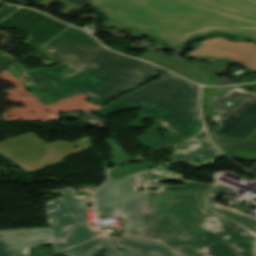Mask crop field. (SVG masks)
I'll use <instances>...</instances> for the list:
<instances>
[{
	"label": "crop field",
	"mask_w": 256,
	"mask_h": 256,
	"mask_svg": "<svg viewBox=\"0 0 256 256\" xmlns=\"http://www.w3.org/2000/svg\"><path fill=\"white\" fill-rule=\"evenodd\" d=\"M184 177L170 170L145 171L140 238L159 241L176 256H253L256 232L211 210L210 185ZM161 180L185 184L169 186Z\"/></svg>",
	"instance_id": "8a807250"
},
{
	"label": "crop field",
	"mask_w": 256,
	"mask_h": 256,
	"mask_svg": "<svg viewBox=\"0 0 256 256\" xmlns=\"http://www.w3.org/2000/svg\"><path fill=\"white\" fill-rule=\"evenodd\" d=\"M42 49L50 51L62 64L28 72L16 63L7 70L15 78L23 73L29 81L22 85L44 105L84 92L90 96L85 100L100 105L148 81L158 72V68L145 62L104 49L90 35L73 27ZM68 68L80 73L62 79Z\"/></svg>",
	"instance_id": "ac0d7876"
},
{
	"label": "crop field",
	"mask_w": 256,
	"mask_h": 256,
	"mask_svg": "<svg viewBox=\"0 0 256 256\" xmlns=\"http://www.w3.org/2000/svg\"><path fill=\"white\" fill-rule=\"evenodd\" d=\"M109 18L170 46L211 29L256 40V0H90Z\"/></svg>",
	"instance_id": "34b2d1b8"
},
{
	"label": "crop field",
	"mask_w": 256,
	"mask_h": 256,
	"mask_svg": "<svg viewBox=\"0 0 256 256\" xmlns=\"http://www.w3.org/2000/svg\"><path fill=\"white\" fill-rule=\"evenodd\" d=\"M198 94L197 85L167 72L159 80L129 95L126 94L127 96L124 95L120 101L97 113L105 117L118 110L141 108L142 110L138 111L139 116L128 126L141 127L144 126L140 124L141 119H154V125L139 136L138 141L144 147L155 151L178 144L200 132L202 124L197 106ZM150 105L154 107L150 108ZM160 122L162 126L157 125ZM162 127L169 131V135H157V130ZM162 137L166 139L163 140Z\"/></svg>",
	"instance_id": "412701ff"
},
{
	"label": "crop field",
	"mask_w": 256,
	"mask_h": 256,
	"mask_svg": "<svg viewBox=\"0 0 256 256\" xmlns=\"http://www.w3.org/2000/svg\"><path fill=\"white\" fill-rule=\"evenodd\" d=\"M46 203L51 229L1 231L0 256H28L29 248L45 243H52L53 250L59 252L94 239L71 213L62 197Z\"/></svg>",
	"instance_id": "f4fd0767"
},
{
	"label": "crop field",
	"mask_w": 256,
	"mask_h": 256,
	"mask_svg": "<svg viewBox=\"0 0 256 256\" xmlns=\"http://www.w3.org/2000/svg\"><path fill=\"white\" fill-rule=\"evenodd\" d=\"M7 141L0 143V155L28 173L57 164L63 161L65 156L93 147L87 138H81L75 143L56 141L47 144L34 133H27ZM76 146L79 148L74 149L73 147Z\"/></svg>",
	"instance_id": "dd49c442"
},
{
	"label": "crop field",
	"mask_w": 256,
	"mask_h": 256,
	"mask_svg": "<svg viewBox=\"0 0 256 256\" xmlns=\"http://www.w3.org/2000/svg\"><path fill=\"white\" fill-rule=\"evenodd\" d=\"M144 171L109 181L97 191L98 216L119 214L126 222L123 224L125 236L139 238L143 192Z\"/></svg>",
	"instance_id": "e52e79f7"
},
{
	"label": "crop field",
	"mask_w": 256,
	"mask_h": 256,
	"mask_svg": "<svg viewBox=\"0 0 256 256\" xmlns=\"http://www.w3.org/2000/svg\"><path fill=\"white\" fill-rule=\"evenodd\" d=\"M209 103L215 113L212 119L218 124L210 134L245 139L256 129V93L230 89L222 96L211 97Z\"/></svg>",
	"instance_id": "d8731c3e"
},
{
	"label": "crop field",
	"mask_w": 256,
	"mask_h": 256,
	"mask_svg": "<svg viewBox=\"0 0 256 256\" xmlns=\"http://www.w3.org/2000/svg\"><path fill=\"white\" fill-rule=\"evenodd\" d=\"M0 27L23 30L30 36L25 43L37 48L68 26L39 12L20 8L1 22Z\"/></svg>",
	"instance_id": "5a996713"
},
{
	"label": "crop field",
	"mask_w": 256,
	"mask_h": 256,
	"mask_svg": "<svg viewBox=\"0 0 256 256\" xmlns=\"http://www.w3.org/2000/svg\"><path fill=\"white\" fill-rule=\"evenodd\" d=\"M190 52L191 55L228 58L231 61L256 71V44L231 42L221 37L204 40Z\"/></svg>",
	"instance_id": "3316defc"
},
{
	"label": "crop field",
	"mask_w": 256,
	"mask_h": 256,
	"mask_svg": "<svg viewBox=\"0 0 256 256\" xmlns=\"http://www.w3.org/2000/svg\"><path fill=\"white\" fill-rule=\"evenodd\" d=\"M141 59L150 61L194 82L210 86H216L213 81L217 78L212 75L225 66L224 63H217L211 67L208 64L200 62H181L174 60L163 53L154 52L143 56Z\"/></svg>",
	"instance_id": "28ad6ade"
},
{
	"label": "crop field",
	"mask_w": 256,
	"mask_h": 256,
	"mask_svg": "<svg viewBox=\"0 0 256 256\" xmlns=\"http://www.w3.org/2000/svg\"><path fill=\"white\" fill-rule=\"evenodd\" d=\"M210 137L229 158L256 160V130L245 140L214 135H210Z\"/></svg>",
	"instance_id": "d1516ede"
},
{
	"label": "crop field",
	"mask_w": 256,
	"mask_h": 256,
	"mask_svg": "<svg viewBox=\"0 0 256 256\" xmlns=\"http://www.w3.org/2000/svg\"><path fill=\"white\" fill-rule=\"evenodd\" d=\"M110 237L115 244L127 249L126 251H120L121 256H175L159 242L125 236L121 238Z\"/></svg>",
	"instance_id": "22f410ed"
},
{
	"label": "crop field",
	"mask_w": 256,
	"mask_h": 256,
	"mask_svg": "<svg viewBox=\"0 0 256 256\" xmlns=\"http://www.w3.org/2000/svg\"><path fill=\"white\" fill-rule=\"evenodd\" d=\"M239 188L240 187H233L228 183L214 181L213 185L208 190V194H209V198H210L212 207H213V209L234 218L235 220L239 221L240 223H242L256 231V218L255 217L248 215V214H244L234 208L223 206V205L217 204L212 201L213 197L218 192H224V193L230 194Z\"/></svg>",
	"instance_id": "cbeb9de0"
},
{
	"label": "crop field",
	"mask_w": 256,
	"mask_h": 256,
	"mask_svg": "<svg viewBox=\"0 0 256 256\" xmlns=\"http://www.w3.org/2000/svg\"><path fill=\"white\" fill-rule=\"evenodd\" d=\"M101 248L107 249V255L110 256V253L113 256H118L115 250L110 245L108 237H102L100 239H96L89 243L83 244L81 246L72 248L70 250L65 251L66 254L72 256H92L93 254H98ZM103 255V254H101Z\"/></svg>",
	"instance_id": "5142ce71"
},
{
	"label": "crop field",
	"mask_w": 256,
	"mask_h": 256,
	"mask_svg": "<svg viewBox=\"0 0 256 256\" xmlns=\"http://www.w3.org/2000/svg\"><path fill=\"white\" fill-rule=\"evenodd\" d=\"M192 141H197L199 144L193 145ZM189 143L191 145L184 149H178L176 147L172 157V164L185 161L191 166V168H201L202 165L195 161V155L202 153L200 139L195 137L194 139L189 141Z\"/></svg>",
	"instance_id": "d9b57169"
},
{
	"label": "crop field",
	"mask_w": 256,
	"mask_h": 256,
	"mask_svg": "<svg viewBox=\"0 0 256 256\" xmlns=\"http://www.w3.org/2000/svg\"><path fill=\"white\" fill-rule=\"evenodd\" d=\"M61 191L63 196L65 197L66 201L70 205L71 209L74 211V213L78 216V218L87 226V211L84 203V199L82 196H77L75 192L72 190V188L68 189H61V190H54L52 192ZM89 227V226H88ZM90 229V228H89ZM92 229V228H91ZM90 229V230H91ZM92 233L99 237L100 235L91 230Z\"/></svg>",
	"instance_id": "733c2abd"
},
{
	"label": "crop field",
	"mask_w": 256,
	"mask_h": 256,
	"mask_svg": "<svg viewBox=\"0 0 256 256\" xmlns=\"http://www.w3.org/2000/svg\"><path fill=\"white\" fill-rule=\"evenodd\" d=\"M161 164H163V163H161ZM157 165H160V164H157ZM157 165L147 161V162H144L141 164H131V165H127V166H119L117 168L110 170L108 173L110 176V180L120 179L124 176H128L133 173L141 172L143 170L149 169V168L157 166Z\"/></svg>",
	"instance_id": "4a817a6b"
},
{
	"label": "crop field",
	"mask_w": 256,
	"mask_h": 256,
	"mask_svg": "<svg viewBox=\"0 0 256 256\" xmlns=\"http://www.w3.org/2000/svg\"><path fill=\"white\" fill-rule=\"evenodd\" d=\"M204 153L197 156L202 165H211L219 158L223 157L209 142L207 137H201Z\"/></svg>",
	"instance_id": "bc2a9ffb"
},
{
	"label": "crop field",
	"mask_w": 256,
	"mask_h": 256,
	"mask_svg": "<svg viewBox=\"0 0 256 256\" xmlns=\"http://www.w3.org/2000/svg\"><path fill=\"white\" fill-rule=\"evenodd\" d=\"M16 7L7 6L0 10V20L11 14L13 11H15ZM17 61L13 59L8 54L1 52L0 53V73L7 69L12 64L16 63Z\"/></svg>",
	"instance_id": "214f88e0"
},
{
	"label": "crop field",
	"mask_w": 256,
	"mask_h": 256,
	"mask_svg": "<svg viewBox=\"0 0 256 256\" xmlns=\"http://www.w3.org/2000/svg\"><path fill=\"white\" fill-rule=\"evenodd\" d=\"M106 141L113 150L110 153L112 154V156L114 158L109 159V161L112 162L114 165L122 163V162L130 160V159H133L132 157H130L124 153V151L121 149V147L115 141V139L110 138V139H107Z\"/></svg>",
	"instance_id": "92a150f3"
},
{
	"label": "crop field",
	"mask_w": 256,
	"mask_h": 256,
	"mask_svg": "<svg viewBox=\"0 0 256 256\" xmlns=\"http://www.w3.org/2000/svg\"><path fill=\"white\" fill-rule=\"evenodd\" d=\"M70 1H72V2H74L76 4H79V5L83 6V7H85L88 4V2H89V0H70Z\"/></svg>",
	"instance_id": "dafd665d"
},
{
	"label": "crop field",
	"mask_w": 256,
	"mask_h": 256,
	"mask_svg": "<svg viewBox=\"0 0 256 256\" xmlns=\"http://www.w3.org/2000/svg\"><path fill=\"white\" fill-rule=\"evenodd\" d=\"M218 88H210V87H204L203 88V91H202V95H205V94H207V93H209V92H212V91H214V90H217Z\"/></svg>",
	"instance_id": "00972430"
},
{
	"label": "crop field",
	"mask_w": 256,
	"mask_h": 256,
	"mask_svg": "<svg viewBox=\"0 0 256 256\" xmlns=\"http://www.w3.org/2000/svg\"><path fill=\"white\" fill-rule=\"evenodd\" d=\"M0 121H2V119H0Z\"/></svg>",
	"instance_id": "a9b5d70f"
}]
</instances>
